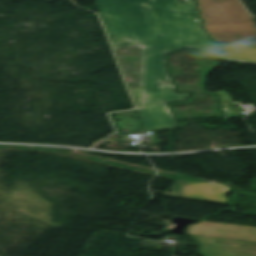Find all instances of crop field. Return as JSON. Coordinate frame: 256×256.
Here are the masks:
<instances>
[{
  "mask_svg": "<svg viewBox=\"0 0 256 256\" xmlns=\"http://www.w3.org/2000/svg\"><path fill=\"white\" fill-rule=\"evenodd\" d=\"M186 1L96 0L113 48H140V88L130 90L146 131L176 128L166 103L189 95L173 93L164 54L182 47L215 54L221 48L200 28L193 0Z\"/></svg>",
  "mask_w": 256,
  "mask_h": 256,
  "instance_id": "crop-field-1",
  "label": "crop field"
},
{
  "mask_svg": "<svg viewBox=\"0 0 256 256\" xmlns=\"http://www.w3.org/2000/svg\"><path fill=\"white\" fill-rule=\"evenodd\" d=\"M204 28L224 45L219 58L256 65V48L237 43L256 38L255 19L239 0H198Z\"/></svg>",
  "mask_w": 256,
  "mask_h": 256,
  "instance_id": "crop-field-2",
  "label": "crop field"
},
{
  "mask_svg": "<svg viewBox=\"0 0 256 256\" xmlns=\"http://www.w3.org/2000/svg\"><path fill=\"white\" fill-rule=\"evenodd\" d=\"M228 186L201 182H175L168 197L226 204Z\"/></svg>",
  "mask_w": 256,
  "mask_h": 256,
  "instance_id": "crop-field-3",
  "label": "crop field"
},
{
  "mask_svg": "<svg viewBox=\"0 0 256 256\" xmlns=\"http://www.w3.org/2000/svg\"><path fill=\"white\" fill-rule=\"evenodd\" d=\"M205 256H256V243L192 235Z\"/></svg>",
  "mask_w": 256,
  "mask_h": 256,
  "instance_id": "crop-field-4",
  "label": "crop field"
},
{
  "mask_svg": "<svg viewBox=\"0 0 256 256\" xmlns=\"http://www.w3.org/2000/svg\"><path fill=\"white\" fill-rule=\"evenodd\" d=\"M241 45L256 47V39L243 42Z\"/></svg>",
  "mask_w": 256,
  "mask_h": 256,
  "instance_id": "crop-field-5",
  "label": "crop field"
}]
</instances>
